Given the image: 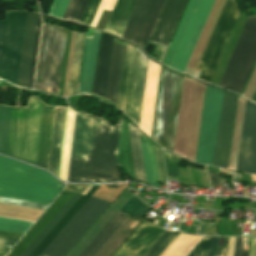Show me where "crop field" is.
<instances>
[{
    "label": "crop field",
    "mask_w": 256,
    "mask_h": 256,
    "mask_svg": "<svg viewBox=\"0 0 256 256\" xmlns=\"http://www.w3.org/2000/svg\"><path fill=\"white\" fill-rule=\"evenodd\" d=\"M250 256H256V239H252Z\"/></svg>",
    "instance_id": "crop-field-43"
},
{
    "label": "crop field",
    "mask_w": 256,
    "mask_h": 256,
    "mask_svg": "<svg viewBox=\"0 0 256 256\" xmlns=\"http://www.w3.org/2000/svg\"><path fill=\"white\" fill-rule=\"evenodd\" d=\"M132 194L124 190L68 256H79Z\"/></svg>",
    "instance_id": "crop-field-22"
},
{
    "label": "crop field",
    "mask_w": 256,
    "mask_h": 256,
    "mask_svg": "<svg viewBox=\"0 0 256 256\" xmlns=\"http://www.w3.org/2000/svg\"><path fill=\"white\" fill-rule=\"evenodd\" d=\"M251 181H253V175H252ZM254 181L256 182V176L255 175H254Z\"/></svg>",
    "instance_id": "crop-field-48"
},
{
    "label": "crop field",
    "mask_w": 256,
    "mask_h": 256,
    "mask_svg": "<svg viewBox=\"0 0 256 256\" xmlns=\"http://www.w3.org/2000/svg\"><path fill=\"white\" fill-rule=\"evenodd\" d=\"M168 177H179L177 166L180 158L164 151Z\"/></svg>",
    "instance_id": "crop-field-37"
},
{
    "label": "crop field",
    "mask_w": 256,
    "mask_h": 256,
    "mask_svg": "<svg viewBox=\"0 0 256 256\" xmlns=\"http://www.w3.org/2000/svg\"><path fill=\"white\" fill-rule=\"evenodd\" d=\"M34 98L30 97L28 108H13L7 155L36 165L43 104ZM52 111L44 105L37 161L44 168Z\"/></svg>",
    "instance_id": "crop-field-3"
},
{
    "label": "crop field",
    "mask_w": 256,
    "mask_h": 256,
    "mask_svg": "<svg viewBox=\"0 0 256 256\" xmlns=\"http://www.w3.org/2000/svg\"><path fill=\"white\" fill-rule=\"evenodd\" d=\"M11 247L0 245V256H4ZM10 251V250H9Z\"/></svg>",
    "instance_id": "crop-field-44"
},
{
    "label": "crop field",
    "mask_w": 256,
    "mask_h": 256,
    "mask_svg": "<svg viewBox=\"0 0 256 256\" xmlns=\"http://www.w3.org/2000/svg\"><path fill=\"white\" fill-rule=\"evenodd\" d=\"M84 37V33H77L68 96L76 94L77 91Z\"/></svg>",
    "instance_id": "crop-field-30"
},
{
    "label": "crop field",
    "mask_w": 256,
    "mask_h": 256,
    "mask_svg": "<svg viewBox=\"0 0 256 256\" xmlns=\"http://www.w3.org/2000/svg\"><path fill=\"white\" fill-rule=\"evenodd\" d=\"M178 234L179 232L165 231L144 256H159Z\"/></svg>",
    "instance_id": "crop-field-32"
},
{
    "label": "crop field",
    "mask_w": 256,
    "mask_h": 256,
    "mask_svg": "<svg viewBox=\"0 0 256 256\" xmlns=\"http://www.w3.org/2000/svg\"><path fill=\"white\" fill-rule=\"evenodd\" d=\"M74 112L66 108L58 177L66 181Z\"/></svg>",
    "instance_id": "crop-field-27"
},
{
    "label": "crop field",
    "mask_w": 256,
    "mask_h": 256,
    "mask_svg": "<svg viewBox=\"0 0 256 256\" xmlns=\"http://www.w3.org/2000/svg\"><path fill=\"white\" fill-rule=\"evenodd\" d=\"M101 0H89L86 8L83 12V15L80 19V23L91 25L92 20L96 14V11L99 7Z\"/></svg>",
    "instance_id": "crop-field-36"
},
{
    "label": "crop field",
    "mask_w": 256,
    "mask_h": 256,
    "mask_svg": "<svg viewBox=\"0 0 256 256\" xmlns=\"http://www.w3.org/2000/svg\"><path fill=\"white\" fill-rule=\"evenodd\" d=\"M242 238H236L234 256H247V253H240Z\"/></svg>",
    "instance_id": "crop-field-40"
},
{
    "label": "crop field",
    "mask_w": 256,
    "mask_h": 256,
    "mask_svg": "<svg viewBox=\"0 0 256 256\" xmlns=\"http://www.w3.org/2000/svg\"><path fill=\"white\" fill-rule=\"evenodd\" d=\"M162 232L144 222L115 256H142Z\"/></svg>",
    "instance_id": "crop-field-20"
},
{
    "label": "crop field",
    "mask_w": 256,
    "mask_h": 256,
    "mask_svg": "<svg viewBox=\"0 0 256 256\" xmlns=\"http://www.w3.org/2000/svg\"><path fill=\"white\" fill-rule=\"evenodd\" d=\"M131 138L133 177L141 181V131L131 126ZM148 140L142 134V181L158 188L159 178L155 148Z\"/></svg>",
    "instance_id": "crop-field-15"
},
{
    "label": "crop field",
    "mask_w": 256,
    "mask_h": 256,
    "mask_svg": "<svg viewBox=\"0 0 256 256\" xmlns=\"http://www.w3.org/2000/svg\"><path fill=\"white\" fill-rule=\"evenodd\" d=\"M141 222L127 217L93 256H112Z\"/></svg>",
    "instance_id": "crop-field-23"
},
{
    "label": "crop field",
    "mask_w": 256,
    "mask_h": 256,
    "mask_svg": "<svg viewBox=\"0 0 256 256\" xmlns=\"http://www.w3.org/2000/svg\"><path fill=\"white\" fill-rule=\"evenodd\" d=\"M120 127L76 113L68 181L120 180L116 164Z\"/></svg>",
    "instance_id": "crop-field-1"
},
{
    "label": "crop field",
    "mask_w": 256,
    "mask_h": 256,
    "mask_svg": "<svg viewBox=\"0 0 256 256\" xmlns=\"http://www.w3.org/2000/svg\"><path fill=\"white\" fill-rule=\"evenodd\" d=\"M148 58L137 48L133 63L126 114L139 126Z\"/></svg>",
    "instance_id": "crop-field-17"
},
{
    "label": "crop field",
    "mask_w": 256,
    "mask_h": 256,
    "mask_svg": "<svg viewBox=\"0 0 256 256\" xmlns=\"http://www.w3.org/2000/svg\"><path fill=\"white\" fill-rule=\"evenodd\" d=\"M219 181H220V183H221V179H220V176H219ZM222 185V184H221Z\"/></svg>",
    "instance_id": "crop-field-49"
},
{
    "label": "crop field",
    "mask_w": 256,
    "mask_h": 256,
    "mask_svg": "<svg viewBox=\"0 0 256 256\" xmlns=\"http://www.w3.org/2000/svg\"><path fill=\"white\" fill-rule=\"evenodd\" d=\"M33 223L0 218V230L24 234Z\"/></svg>",
    "instance_id": "crop-field-33"
},
{
    "label": "crop field",
    "mask_w": 256,
    "mask_h": 256,
    "mask_svg": "<svg viewBox=\"0 0 256 256\" xmlns=\"http://www.w3.org/2000/svg\"><path fill=\"white\" fill-rule=\"evenodd\" d=\"M136 0H117L105 31L121 36Z\"/></svg>",
    "instance_id": "crop-field-26"
},
{
    "label": "crop field",
    "mask_w": 256,
    "mask_h": 256,
    "mask_svg": "<svg viewBox=\"0 0 256 256\" xmlns=\"http://www.w3.org/2000/svg\"><path fill=\"white\" fill-rule=\"evenodd\" d=\"M237 16L234 1L225 0L197 65L207 69L203 81L209 82Z\"/></svg>",
    "instance_id": "crop-field-12"
},
{
    "label": "crop field",
    "mask_w": 256,
    "mask_h": 256,
    "mask_svg": "<svg viewBox=\"0 0 256 256\" xmlns=\"http://www.w3.org/2000/svg\"><path fill=\"white\" fill-rule=\"evenodd\" d=\"M166 0H137L122 38L146 48Z\"/></svg>",
    "instance_id": "crop-field-13"
},
{
    "label": "crop field",
    "mask_w": 256,
    "mask_h": 256,
    "mask_svg": "<svg viewBox=\"0 0 256 256\" xmlns=\"http://www.w3.org/2000/svg\"><path fill=\"white\" fill-rule=\"evenodd\" d=\"M65 108L55 107L48 170L57 175Z\"/></svg>",
    "instance_id": "crop-field-25"
},
{
    "label": "crop field",
    "mask_w": 256,
    "mask_h": 256,
    "mask_svg": "<svg viewBox=\"0 0 256 256\" xmlns=\"http://www.w3.org/2000/svg\"><path fill=\"white\" fill-rule=\"evenodd\" d=\"M145 204L139 201L137 197L132 195L120 211L127 215L141 219L143 215L150 210V208ZM120 211L114 216V218L106 225V227L99 233V235L80 256H92L100 248V246L126 218V216L122 215L123 213Z\"/></svg>",
    "instance_id": "crop-field-18"
},
{
    "label": "crop field",
    "mask_w": 256,
    "mask_h": 256,
    "mask_svg": "<svg viewBox=\"0 0 256 256\" xmlns=\"http://www.w3.org/2000/svg\"><path fill=\"white\" fill-rule=\"evenodd\" d=\"M91 188L92 187H88L83 194H87ZM97 188L98 187H93L87 195L75 193L21 256H30V254L37 248V246L83 195L73 206V208L66 214V216L59 222V224L52 230V232L45 238V240L38 246V248L31 254V256H39V254L46 248V246L53 240V238L60 232V230L67 224V222L74 216V214L81 208V206L88 200V198L96 191Z\"/></svg>",
    "instance_id": "crop-field-14"
},
{
    "label": "crop field",
    "mask_w": 256,
    "mask_h": 256,
    "mask_svg": "<svg viewBox=\"0 0 256 256\" xmlns=\"http://www.w3.org/2000/svg\"><path fill=\"white\" fill-rule=\"evenodd\" d=\"M155 148H156V156H157V163H158V170H159V178H160V181H163L165 180V177H164V171H163L161 152H160V148H158L157 146H155Z\"/></svg>",
    "instance_id": "crop-field-39"
},
{
    "label": "crop field",
    "mask_w": 256,
    "mask_h": 256,
    "mask_svg": "<svg viewBox=\"0 0 256 256\" xmlns=\"http://www.w3.org/2000/svg\"><path fill=\"white\" fill-rule=\"evenodd\" d=\"M17 241H18L17 239L0 237V244H4V245L13 246Z\"/></svg>",
    "instance_id": "crop-field-42"
},
{
    "label": "crop field",
    "mask_w": 256,
    "mask_h": 256,
    "mask_svg": "<svg viewBox=\"0 0 256 256\" xmlns=\"http://www.w3.org/2000/svg\"><path fill=\"white\" fill-rule=\"evenodd\" d=\"M0 203L41 209V210H45L48 207L46 205H40V204H34V203H28V202H22V201H16V200L4 199V198H0Z\"/></svg>",
    "instance_id": "crop-field-38"
},
{
    "label": "crop field",
    "mask_w": 256,
    "mask_h": 256,
    "mask_svg": "<svg viewBox=\"0 0 256 256\" xmlns=\"http://www.w3.org/2000/svg\"><path fill=\"white\" fill-rule=\"evenodd\" d=\"M109 204L91 196L40 256H65Z\"/></svg>",
    "instance_id": "crop-field-11"
},
{
    "label": "crop field",
    "mask_w": 256,
    "mask_h": 256,
    "mask_svg": "<svg viewBox=\"0 0 256 256\" xmlns=\"http://www.w3.org/2000/svg\"><path fill=\"white\" fill-rule=\"evenodd\" d=\"M187 0H167L150 42L168 45Z\"/></svg>",
    "instance_id": "crop-field-19"
},
{
    "label": "crop field",
    "mask_w": 256,
    "mask_h": 256,
    "mask_svg": "<svg viewBox=\"0 0 256 256\" xmlns=\"http://www.w3.org/2000/svg\"><path fill=\"white\" fill-rule=\"evenodd\" d=\"M210 239L211 238L209 237H205L203 241L197 246V248L191 253L190 256H196ZM218 239L219 238H212L197 256H212L216 249Z\"/></svg>",
    "instance_id": "crop-field-34"
},
{
    "label": "crop field",
    "mask_w": 256,
    "mask_h": 256,
    "mask_svg": "<svg viewBox=\"0 0 256 256\" xmlns=\"http://www.w3.org/2000/svg\"><path fill=\"white\" fill-rule=\"evenodd\" d=\"M224 92L207 87L196 162L213 165ZM236 95L225 92L215 166L226 168Z\"/></svg>",
    "instance_id": "crop-field-4"
},
{
    "label": "crop field",
    "mask_w": 256,
    "mask_h": 256,
    "mask_svg": "<svg viewBox=\"0 0 256 256\" xmlns=\"http://www.w3.org/2000/svg\"><path fill=\"white\" fill-rule=\"evenodd\" d=\"M73 194V192L64 191L8 256H20Z\"/></svg>",
    "instance_id": "crop-field-21"
},
{
    "label": "crop field",
    "mask_w": 256,
    "mask_h": 256,
    "mask_svg": "<svg viewBox=\"0 0 256 256\" xmlns=\"http://www.w3.org/2000/svg\"><path fill=\"white\" fill-rule=\"evenodd\" d=\"M37 14L29 13L24 37L18 85L27 87Z\"/></svg>",
    "instance_id": "crop-field-24"
},
{
    "label": "crop field",
    "mask_w": 256,
    "mask_h": 256,
    "mask_svg": "<svg viewBox=\"0 0 256 256\" xmlns=\"http://www.w3.org/2000/svg\"><path fill=\"white\" fill-rule=\"evenodd\" d=\"M207 227H208V225L202 224L201 228H200V231H199V234L206 235Z\"/></svg>",
    "instance_id": "crop-field-45"
},
{
    "label": "crop field",
    "mask_w": 256,
    "mask_h": 256,
    "mask_svg": "<svg viewBox=\"0 0 256 256\" xmlns=\"http://www.w3.org/2000/svg\"><path fill=\"white\" fill-rule=\"evenodd\" d=\"M255 60L256 18H248L219 85L241 93Z\"/></svg>",
    "instance_id": "crop-field-9"
},
{
    "label": "crop field",
    "mask_w": 256,
    "mask_h": 256,
    "mask_svg": "<svg viewBox=\"0 0 256 256\" xmlns=\"http://www.w3.org/2000/svg\"><path fill=\"white\" fill-rule=\"evenodd\" d=\"M68 1L69 0H54L53 5H52L48 15L61 18L65 11V8L68 4ZM75 1L76 0L69 1L66 11L62 17L63 19H66V20L68 19L70 12L74 6ZM87 1L88 0H77L68 20L78 22L82 15V12L85 8Z\"/></svg>",
    "instance_id": "crop-field-28"
},
{
    "label": "crop field",
    "mask_w": 256,
    "mask_h": 256,
    "mask_svg": "<svg viewBox=\"0 0 256 256\" xmlns=\"http://www.w3.org/2000/svg\"><path fill=\"white\" fill-rule=\"evenodd\" d=\"M11 108L0 106V153L6 151L9 119Z\"/></svg>",
    "instance_id": "crop-field-31"
},
{
    "label": "crop field",
    "mask_w": 256,
    "mask_h": 256,
    "mask_svg": "<svg viewBox=\"0 0 256 256\" xmlns=\"http://www.w3.org/2000/svg\"><path fill=\"white\" fill-rule=\"evenodd\" d=\"M225 248H218L214 256H224Z\"/></svg>",
    "instance_id": "crop-field-46"
},
{
    "label": "crop field",
    "mask_w": 256,
    "mask_h": 256,
    "mask_svg": "<svg viewBox=\"0 0 256 256\" xmlns=\"http://www.w3.org/2000/svg\"><path fill=\"white\" fill-rule=\"evenodd\" d=\"M237 171L256 173V105L246 102Z\"/></svg>",
    "instance_id": "crop-field-16"
},
{
    "label": "crop field",
    "mask_w": 256,
    "mask_h": 256,
    "mask_svg": "<svg viewBox=\"0 0 256 256\" xmlns=\"http://www.w3.org/2000/svg\"><path fill=\"white\" fill-rule=\"evenodd\" d=\"M184 76L162 70L152 139L172 151Z\"/></svg>",
    "instance_id": "crop-field-6"
},
{
    "label": "crop field",
    "mask_w": 256,
    "mask_h": 256,
    "mask_svg": "<svg viewBox=\"0 0 256 256\" xmlns=\"http://www.w3.org/2000/svg\"><path fill=\"white\" fill-rule=\"evenodd\" d=\"M214 0H190L163 64L183 72Z\"/></svg>",
    "instance_id": "crop-field-7"
},
{
    "label": "crop field",
    "mask_w": 256,
    "mask_h": 256,
    "mask_svg": "<svg viewBox=\"0 0 256 256\" xmlns=\"http://www.w3.org/2000/svg\"><path fill=\"white\" fill-rule=\"evenodd\" d=\"M40 28H41V20H40V16L38 15L37 25H36V32H35V39H34L33 54H32L31 69H30V76H29V84H28V87L31 88V89H32V85H33V78H34V71H35V64H36V56H37Z\"/></svg>",
    "instance_id": "crop-field-35"
},
{
    "label": "crop field",
    "mask_w": 256,
    "mask_h": 256,
    "mask_svg": "<svg viewBox=\"0 0 256 256\" xmlns=\"http://www.w3.org/2000/svg\"><path fill=\"white\" fill-rule=\"evenodd\" d=\"M26 12H5L0 22V78L16 84Z\"/></svg>",
    "instance_id": "crop-field-10"
},
{
    "label": "crop field",
    "mask_w": 256,
    "mask_h": 256,
    "mask_svg": "<svg viewBox=\"0 0 256 256\" xmlns=\"http://www.w3.org/2000/svg\"><path fill=\"white\" fill-rule=\"evenodd\" d=\"M135 47L127 44L117 107L125 112Z\"/></svg>",
    "instance_id": "crop-field-29"
},
{
    "label": "crop field",
    "mask_w": 256,
    "mask_h": 256,
    "mask_svg": "<svg viewBox=\"0 0 256 256\" xmlns=\"http://www.w3.org/2000/svg\"><path fill=\"white\" fill-rule=\"evenodd\" d=\"M45 172L0 156V196L49 204L61 183Z\"/></svg>",
    "instance_id": "crop-field-5"
},
{
    "label": "crop field",
    "mask_w": 256,
    "mask_h": 256,
    "mask_svg": "<svg viewBox=\"0 0 256 256\" xmlns=\"http://www.w3.org/2000/svg\"><path fill=\"white\" fill-rule=\"evenodd\" d=\"M99 32L86 38L78 94L90 95ZM112 37L100 32L92 93L102 97ZM126 43L113 37L103 98L117 104Z\"/></svg>",
    "instance_id": "crop-field-2"
},
{
    "label": "crop field",
    "mask_w": 256,
    "mask_h": 256,
    "mask_svg": "<svg viewBox=\"0 0 256 256\" xmlns=\"http://www.w3.org/2000/svg\"><path fill=\"white\" fill-rule=\"evenodd\" d=\"M251 100L256 102V90Z\"/></svg>",
    "instance_id": "crop-field-47"
},
{
    "label": "crop field",
    "mask_w": 256,
    "mask_h": 256,
    "mask_svg": "<svg viewBox=\"0 0 256 256\" xmlns=\"http://www.w3.org/2000/svg\"><path fill=\"white\" fill-rule=\"evenodd\" d=\"M208 176H209L211 187L218 184V174L217 173H213V172L208 171Z\"/></svg>",
    "instance_id": "crop-field-41"
},
{
    "label": "crop field",
    "mask_w": 256,
    "mask_h": 256,
    "mask_svg": "<svg viewBox=\"0 0 256 256\" xmlns=\"http://www.w3.org/2000/svg\"><path fill=\"white\" fill-rule=\"evenodd\" d=\"M67 31L43 25L34 89L57 94Z\"/></svg>",
    "instance_id": "crop-field-8"
}]
</instances>
